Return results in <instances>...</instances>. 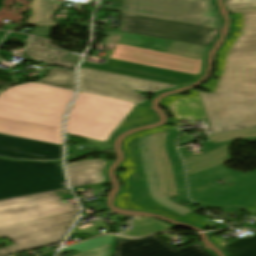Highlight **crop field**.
Returning a JSON list of instances; mask_svg holds the SVG:
<instances>
[{
	"instance_id": "obj_1",
	"label": "crop field",
	"mask_w": 256,
	"mask_h": 256,
	"mask_svg": "<svg viewBox=\"0 0 256 256\" xmlns=\"http://www.w3.org/2000/svg\"><path fill=\"white\" fill-rule=\"evenodd\" d=\"M179 133L175 127H163L125 139L129 156L120 169L128 171L119 176L127 186L117 206L156 211L174 220L191 213L170 198L187 199L183 164L175 148Z\"/></svg>"
},
{
	"instance_id": "obj_2",
	"label": "crop field",
	"mask_w": 256,
	"mask_h": 256,
	"mask_svg": "<svg viewBox=\"0 0 256 256\" xmlns=\"http://www.w3.org/2000/svg\"><path fill=\"white\" fill-rule=\"evenodd\" d=\"M235 27L216 63L218 79L199 92L213 133L256 127V12L234 14Z\"/></svg>"
},
{
	"instance_id": "obj_3",
	"label": "crop field",
	"mask_w": 256,
	"mask_h": 256,
	"mask_svg": "<svg viewBox=\"0 0 256 256\" xmlns=\"http://www.w3.org/2000/svg\"><path fill=\"white\" fill-rule=\"evenodd\" d=\"M103 41L110 53L121 38L142 42L138 48L118 44L111 58L127 61L122 69L83 61L82 67L174 85H185L201 73L205 46L117 31Z\"/></svg>"
},
{
	"instance_id": "obj_4",
	"label": "crop field",
	"mask_w": 256,
	"mask_h": 256,
	"mask_svg": "<svg viewBox=\"0 0 256 256\" xmlns=\"http://www.w3.org/2000/svg\"><path fill=\"white\" fill-rule=\"evenodd\" d=\"M211 142L202 143V156L192 157L180 151L186 161L190 187L219 178L226 185L207 184L191 189L192 201L203 206L242 209L256 203V170L244 174L223 166L230 159L228 148L233 139L256 142V129L212 135ZM183 159V160H184ZM184 161V162H185ZM235 183L229 186V183ZM188 184V185H189Z\"/></svg>"
},
{
	"instance_id": "obj_5",
	"label": "crop field",
	"mask_w": 256,
	"mask_h": 256,
	"mask_svg": "<svg viewBox=\"0 0 256 256\" xmlns=\"http://www.w3.org/2000/svg\"><path fill=\"white\" fill-rule=\"evenodd\" d=\"M74 91L34 82L0 94V133L62 145L61 121Z\"/></svg>"
},
{
	"instance_id": "obj_6",
	"label": "crop field",
	"mask_w": 256,
	"mask_h": 256,
	"mask_svg": "<svg viewBox=\"0 0 256 256\" xmlns=\"http://www.w3.org/2000/svg\"><path fill=\"white\" fill-rule=\"evenodd\" d=\"M135 105L79 92L67 117V132L105 141Z\"/></svg>"
},
{
	"instance_id": "obj_7",
	"label": "crop field",
	"mask_w": 256,
	"mask_h": 256,
	"mask_svg": "<svg viewBox=\"0 0 256 256\" xmlns=\"http://www.w3.org/2000/svg\"><path fill=\"white\" fill-rule=\"evenodd\" d=\"M100 8L221 28V19L211 0H121L122 8L104 5Z\"/></svg>"
},
{
	"instance_id": "obj_8",
	"label": "crop field",
	"mask_w": 256,
	"mask_h": 256,
	"mask_svg": "<svg viewBox=\"0 0 256 256\" xmlns=\"http://www.w3.org/2000/svg\"><path fill=\"white\" fill-rule=\"evenodd\" d=\"M77 212L0 228V237L7 238L14 244L1 248L0 256H7L24 250H35L62 240Z\"/></svg>"
},
{
	"instance_id": "obj_9",
	"label": "crop field",
	"mask_w": 256,
	"mask_h": 256,
	"mask_svg": "<svg viewBox=\"0 0 256 256\" xmlns=\"http://www.w3.org/2000/svg\"><path fill=\"white\" fill-rule=\"evenodd\" d=\"M79 82L81 92L126 100L141 104L146 97L138 92L141 90L148 93H155L174 85L153 82L108 72H102L80 67Z\"/></svg>"
},
{
	"instance_id": "obj_10",
	"label": "crop field",
	"mask_w": 256,
	"mask_h": 256,
	"mask_svg": "<svg viewBox=\"0 0 256 256\" xmlns=\"http://www.w3.org/2000/svg\"><path fill=\"white\" fill-rule=\"evenodd\" d=\"M120 19L124 22L119 28L120 31L184 41L205 46L210 45L220 31L209 27L125 13L121 14Z\"/></svg>"
},
{
	"instance_id": "obj_11",
	"label": "crop field",
	"mask_w": 256,
	"mask_h": 256,
	"mask_svg": "<svg viewBox=\"0 0 256 256\" xmlns=\"http://www.w3.org/2000/svg\"><path fill=\"white\" fill-rule=\"evenodd\" d=\"M114 256H213L204 251L199 243L174 249L157 236L139 240H118Z\"/></svg>"
},
{
	"instance_id": "obj_12",
	"label": "crop field",
	"mask_w": 256,
	"mask_h": 256,
	"mask_svg": "<svg viewBox=\"0 0 256 256\" xmlns=\"http://www.w3.org/2000/svg\"><path fill=\"white\" fill-rule=\"evenodd\" d=\"M62 146L0 134V156L17 160H61Z\"/></svg>"
},
{
	"instance_id": "obj_13",
	"label": "crop field",
	"mask_w": 256,
	"mask_h": 256,
	"mask_svg": "<svg viewBox=\"0 0 256 256\" xmlns=\"http://www.w3.org/2000/svg\"><path fill=\"white\" fill-rule=\"evenodd\" d=\"M62 170L0 180V199L64 188Z\"/></svg>"
},
{
	"instance_id": "obj_14",
	"label": "crop field",
	"mask_w": 256,
	"mask_h": 256,
	"mask_svg": "<svg viewBox=\"0 0 256 256\" xmlns=\"http://www.w3.org/2000/svg\"><path fill=\"white\" fill-rule=\"evenodd\" d=\"M76 210H78L77 205H67L60 200L29 206L20 205L0 209V227L32 221Z\"/></svg>"
},
{
	"instance_id": "obj_15",
	"label": "crop field",
	"mask_w": 256,
	"mask_h": 256,
	"mask_svg": "<svg viewBox=\"0 0 256 256\" xmlns=\"http://www.w3.org/2000/svg\"><path fill=\"white\" fill-rule=\"evenodd\" d=\"M110 161L105 159H83L79 162L66 164L67 172L70 180L71 188L89 185L92 190L96 189L97 192H101L105 185L104 171L109 165ZM104 190V191H105Z\"/></svg>"
},
{
	"instance_id": "obj_16",
	"label": "crop field",
	"mask_w": 256,
	"mask_h": 256,
	"mask_svg": "<svg viewBox=\"0 0 256 256\" xmlns=\"http://www.w3.org/2000/svg\"><path fill=\"white\" fill-rule=\"evenodd\" d=\"M188 93L190 95L170 96L162 100L160 106L168 111L175 119L187 118L191 121L207 119L198 92L190 91Z\"/></svg>"
},
{
	"instance_id": "obj_17",
	"label": "crop field",
	"mask_w": 256,
	"mask_h": 256,
	"mask_svg": "<svg viewBox=\"0 0 256 256\" xmlns=\"http://www.w3.org/2000/svg\"><path fill=\"white\" fill-rule=\"evenodd\" d=\"M62 169L57 162H16L0 159V179Z\"/></svg>"
},
{
	"instance_id": "obj_18",
	"label": "crop field",
	"mask_w": 256,
	"mask_h": 256,
	"mask_svg": "<svg viewBox=\"0 0 256 256\" xmlns=\"http://www.w3.org/2000/svg\"><path fill=\"white\" fill-rule=\"evenodd\" d=\"M26 54L33 60L42 61L50 65H58L73 69L76 64L75 62L61 60V58L68 53L49 49L45 40L36 37L31 38L26 49Z\"/></svg>"
},
{
	"instance_id": "obj_19",
	"label": "crop field",
	"mask_w": 256,
	"mask_h": 256,
	"mask_svg": "<svg viewBox=\"0 0 256 256\" xmlns=\"http://www.w3.org/2000/svg\"><path fill=\"white\" fill-rule=\"evenodd\" d=\"M59 5L53 0H32L30 8L33 12L27 24L36 26L56 25L51 20L50 13L55 12Z\"/></svg>"
},
{
	"instance_id": "obj_20",
	"label": "crop field",
	"mask_w": 256,
	"mask_h": 256,
	"mask_svg": "<svg viewBox=\"0 0 256 256\" xmlns=\"http://www.w3.org/2000/svg\"><path fill=\"white\" fill-rule=\"evenodd\" d=\"M157 120V117L150 113L145 106L137 104L122 123L115 129V131L108 137L106 142L111 143L112 137L127 127L147 124Z\"/></svg>"
},
{
	"instance_id": "obj_21",
	"label": "crop field",
	"mask_w": 256,
	"mask_h": 256,
	"mask_svg": "<svg viewBox=\"0 0 256 256\" xmlns=\"http://www.w3.org/2000/svg\"><path fill=\"white\" fill-rule=\"evenodd\" d=\"M37 82L75 90L74 72L68 70L51 68L47 76Z\"/></svg>"
},
{
	"instance_id": "obj_22",
	"label": "crop field",
	"mask_w": 256,
	"mask_h": 256,
	"mask_svg": "<svg viewBox=\"0 0 256 256\" xmlns=\"http://www.w3.org/2000/svg\"><path fill=\"white\" fill-rule=\"evenodd\" d=\"M223 249L227 256H256V235L239 239Z\"/></svg>"
},
{
	"instance_id": "obj_23",
	"label": "crop field",
	"mask_w": 256,
	"mask_h": 256,
	"mask_svg": "<svg viewBox=\"0 0 256 256\" xmlns=\"http://www.w3.org/2000/svg\"><path fill=\"white\" fill-rule=\"evenodd\" d=\"M57 199H60V198L54 192H52V193L43 194V195L3 201V202H0V208L10 207V206H15L20 204L29 205V204H35V203L46 202V201L57 200Z\"/></svg>"
},
{
	"instance_id": "obj_24",
	"label": "crop field",
	"mask_w": 256,
	"mask_h": 256,
	"mask_svg": "<svg viewBox=\"0 0 256 256\" xmlns=\"http://www.w3.org/2000/svg\"><path fill=\"white\" fill-rule=\"evenodd\" d=\"M112 236L107 235V236H100L97 237L93 240L81 243V244H77L74 246H70L67 247L66 249L62 250L61 253L67 252V251H71L74 249H77L80 253L109 244L111 242Z\"/></svg>"
},
{
	"instance_id": "obj_25",
	"label": "crop field",
	"mask_w": 256,
	"mask_h": 256,
	"mask_svg": "<svg viewBox=\"0 0 256 256\" xmlns=\"http://www.w3.org/2000/svg\"><path fill=\"white\" fill-rule=\"evenodd\" d=\"M110 246L111 244L76 255V256H111V254L109 253Z\"/></svg>"
},
{
	"instance_id": "obj_26",
	"label": "crop field",
	"mask_w": 256,
	"mask_h": 256,
	"mask_svg": "<svg viewBox=\"0 0 256 256\" xmlns=\"http://www.w3.org/2000/svg\"><path fill=\"white\" fill-rule=\"evenodd\" d=\"M229 9L235 13L256 11V3L253 4H232Z\"/></svg>"
},
{
	"instance_id": "obj_27",
	"label": "crop field",
	"mask_w": 256,
	"mask_h": 256,
	"mask_svg": "<svg viewBox=\"0 0 256 256\" xmlns=\"http://www.w3.org/2000/svg\"><path fill=\"white\" fill-rule=\"evenodd\" d=\"M91 153V151L79 150L74 148H67L66 160H71L83 154Z\"/></svg>"
},
{
	"instance_id": "obj_28",
	"label": "crop field",
	"mask_w": 256,
	"mask_h": 256,
	"mask_svg": "<svg viewBox=\"0 0 256 256\" xmlns=\"http://www.w3.org/2000/svg\"><path fill=\"white\" fill-rule=\"evenodd\" d=\"M51 28H52V26H48V27H36V28H33V29H32V31L30 32V34L49 37V33H50Z\"/></svg>"
},
{
	"instance_id": "obj_29",
	"label": "crop field",
	"mask_w": 256,
	"mask_h": 256,
	"mask_svg": "<svg viewBox=\"0 0 256 256\" xmlns=\"http://www.w3.org/2000/svg\"><path fill=\"white\" fill-rule=\"evenodd\" d=\"M91 205H93L96 209V211H100V210H103V209H108L106 207V205L104 203H101V202H98V204H95V203H92Z\"/></svg>"
},
{
	"instance_id": "obj_30",
	"label": "crop field",
	"mask_w": 256,
	"mask_h": 256,
	"mask_svg": "<svg viewBox=\"0 0 256 256\" xmlns=\"http://www.w3.org/2000/svg\"><path fill=\"white\" fill-rule=\"evenodd\" d=\"M79 58H80V56L69 54L66 57L62 58V59L78 62Z\"/></svg>"
},
{
	"instance_id": "obj_31",
	"label": "crop field",
	"mask_w": 256,
	"mask_h": 256,
	"mask_svg": "<svg viewBox=\"0 0 256 256\" xmlns=\"http://www.w3.org/2000/svg\"><path fill=\"white\" fill-rule=\"evenodd\" d=\"M13 36L20 37V38H25V39L28 38V36H26V35L11 33L10 36L3 42H6V41L10 40Z\"/></svg>"
},
{
	"instance_id": "obj_32",
	"label": "crop field",
	"mask_w": 256,
	"mask_h": 256,
	"mask_svg": "<svg viewBox=\"0 0 256 256\" xmlns=\"http://www.w3.org/2000/svg\"><path fill=\"white\" fill-rule=\"evenodd\" d=\"M252 2H256V1H244V2H227V4H231V3H252Z\"/></svg>"
},
{
	"instance_id": "obj_33",
	"label": "crop field",
	"mask_w": 256,
	"mask_h": 256,
	"mask_svg": "<svg viewBox=\"0 0 256 256\" xmlns=\"http://www.w3.org/2000/svg\"><path fill=\"white\" fill-rule=\"evenodd\" d=\"M225 1H244V0H225Z\"/></svg>"
},
{
	"instance_id": "obj_34",
	"label": "crop field",
	"mask_w": 256,
	"mask_h": 256,
	"mask_svg": "<svg viewBox=\"0 0 256 256\" xmlns=\"http://www.w3.org/2000/svg\"><path fill=\"white\" fill-rule=\"evenodd\" d=\"M5 32H3V31H0V38H1V36L4 34Z\"/></svg>"
},
{
	"instance_id": "obj_35",
	"label": "crop field",
	"mask_w": 256,
	"mask_h": 256,
	"mask_svg": "<svg viewBox=\"0 0 256 256\" xmlns=\"http://www.w3.org/2000/svg\"><path fill=\"white\" fill-rule=\"evenodd\" d=\"M1 5H2V0H0V7H1Z\"/></svg>"
},
{
	"instance_id": "obj_36",
	"label": "crop field",
	"mask_w": 256,
	"mask_h": 256,
	"mask_svg": "<svg viewBox=\"0 0 256 256\" xmlns=\"http://www.w3.org/2000/svg\"><path fill=\"white\" fill-rule=\"evenodd\" d=\"M0 93H1V91H0Z\"/></svg>"
}]
</instances>
